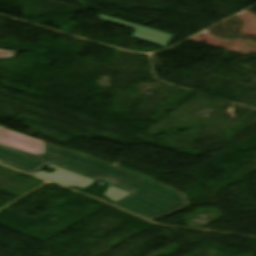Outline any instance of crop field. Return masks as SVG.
I'll return each mask as SVG.
<instances>
[{
    "instance_id": "obj_5",
    "label": "crop field",
    "mask_w": 256,
    "mask_h": 256,
    "mask_svg": "<svg viewBox=\"0 0 256 256\" xmlns=\"http://www.w3.org/2000/svg\"><path fill=\"white\" fill-rule=\"evenodd\" d=\"M0 132L6 134L8 136H11L15 139H18V140H21V141H24V142H27V143H30V144H33V145H36V146L40 142V141H37L35 139L29 138L27 136L21 135L19 133L13 132L11 130L5 129L3 127H0Z\"/></svg>"
},
{
    "instance_id": "obj_6",
    "label": "crop field",
    "mask_w": 256,
    "mask_h": 256,
    "mask_svg": "<svg viewBox=\"0 0 256 256\" xmlns=\"http://www.w3.org/2000/svg\"><path fill=\"white\" fill-rule=\"evenodd\" d=\"M128 194L129 193L127 192L109 186L107 192L104 195H106L108 198L115 202Z\"/></svg>"
},
{
    "instance_id": "obj_3",
    "label": "crop field",
    "mask_w": 256,
    "mask_h": 256,
    "mask_svg": "<svg viewBox=\"0 0 256 256\" xmlns=\"http://www.w3.org/2000/svg\"><path fill=\"white\" fill-rule=\"evenodd\" d=\"M99 17L105 21L108 22H112L115 24H119V25H123L126 27H130V28H134L136 29L134 34H133V38L142 40V41H150V42H154L157 45L166 48L167 45L170 43V41L173 39L174 35H170V34H166L163 32H159L156 30H152V29H148L145 27H141L138 25H134V24H130L127 22H123V21H119L116 19H112L109 17H105V16H101L99 15Z\"/></svg>"
},
{
    "instance_id": "obj_4",
    "label": "crop field",
    "mask_w": 256,
    "mask_h": 256,
    "mask_svg": "<svg viewBox=\"0 0 256 256\" xmlns=\"http://www.w3.org/2000/svg\"><path fill=\"white\" fill-rule=\"evenodd\" d=\"M0 142L11 145V146H14V147H18V148H21V149H24V150H27V151H30V152L37 153L36 146H33V145H30V144L15 140V139H13L11 137H8V136H6L2 133H0Z\"/></svg>"
},
{
    "instance_id": "obj_2",
    "label": "crop field",
    "mask_w": 256,
    "mask_h": 256,
    "mask_svg": "<svg viewBox=\"0 0 256 256\" xmlns=\"http://www.w3.org/2000/svg\"><path fill=\"white\" fill-rule=\"evenodd\" d=\"M47 168H50L55 172L48 174L43 171H39L34 175H37L39 177L45 178L47 180L53 181L66 187L73 186L81 189H84L92 185L94 182L93 180L87 179L85 177L74 174L70 171L57 168L51 165H49Z\"/></svg>"
},
{
    "instance_id": "obj_1",
    "label": "crop field",
    "mask_w": 256,
    "mask_h": 256,
    "mask_svg": "<svg viewBox=\"0 0 256 256\" xmlns=\"http://www.w3.org/2000/svg\"><path fill=\"white\" fill-rule=\"evenodd\" d=\"M0 162L32 174L51 164L96 181H108L131 193L113 205L149 220L170 216L192 205L185 195L149 178L47 143L42 156L0 143Z\"/></svg>"
},
{
    "instance_id": "obj_8",
    "label": "crop field",
    "mask_w": 256,
    "mask_h": 256,
    "mask_svg": "<svg viewBox=\"0 0 256 256\" xmlns=\"http://www.w3.org/2000/svg\"><path fill=\"white\" fill-rule=\"evenodd\" d=\"M44 142L39 143L38 147H37V151L38 153L41 155L42 151H43V147H44Z\"/></svg>"
},
{
    "instance_id": "obj_7",
    "label": "crop field",
    "mask_w": 256,
    "mask_h": 256,
    "mask_svg": "<svg viewBox=\"0 0 256 256\" xmlns=\"http://www.w3.org/2000/svg\"><path fill=\"white\" fill-rule=\"evenodd\" d=\"M16 52L14 51H8V50H2L0 49V58H9L13 57Z\"/></svg>"
}]
</instances>
